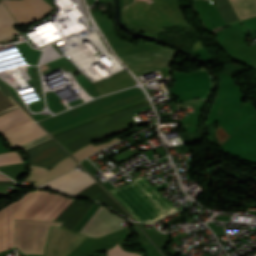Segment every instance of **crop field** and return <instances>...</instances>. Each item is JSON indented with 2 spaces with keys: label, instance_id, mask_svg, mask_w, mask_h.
<instances>
[{
  "label": "crop field",
  "instance_id": "28ad6ade",
  "mask_svg": "<svg viewBox=\"0 0 256 256\" xmlns=\"http://www.w3.org/2000/svg\"><path fill=\"white\" fill-rule=\"evenodd\" d=\"M29 120L19 108L0 116V133Z\"/></svg>",
  "mask_w": 256,
  "mask_h": 256
},
{
  "label": "crop field",
  "instance_id": "5142ce71",
  "mask_svg": "<svg viewBox=\"0 0 256 256\" xmlns=\"http://www.w3.org/2000/svg\"><path fill=\"white\" fill-rule=\"evenodd\" d=\"M17 108L14 102L0 89V115Z\"/></svg>",
  "mask_w": 256,
  "mask_h": 256
},
{
  "label": "crop field",
  "instance_id": "d1516ede",
  "mask_svg": "<svg viewBox=\"0 0 256 256\" xmlns=\"http://www.w3.org/2000/svg\"><path fill=\"white\" fill-rule=\"evenodd\" d=\"M240 20L256 16V0H231Z\"/></svg>",
  "mask_w": 256,
  "mask_h": 256
},
{
  "label": "crop field",
  "instance_id": "22f410ed",
  "mask_svg": "<svg viewBox=\"0 0 256 256\" xmlns=\"http://www.w3.org/2000/svg\"><path fill=\"white\" fill-rule=\"evenodd\" d=\"M48 139H50V136L47 134V135H45V136H43V137H41L39 139H36V140H34V141L30 142V143H27V144L21 146L20 148L22 149V151H24V150H26V149H28L30 147H33V146H35V145H37V144H39L41 142H44V141L48 140ZM53 144H55V142L52 139H50V140H48V141H46L44 143H41V144H39V145H37V146H35L33 148H30V149L24 151V153H26L28 156H30V155H32V154H34V153H36V152H38L40 150H43V149H45V148H47V147H49V146H51Z\"/></svg>",
  "mask_w": 256,
  "mask_h": 256
},
{
  "label": "crop field",
  "instance_id": "ac0d7876",
  "mask_svg": "<svg viewBox=\"0 0 256 256\" xmlns=\"http://www.w3.org/2000/svg\"><path fill=\"white\" fill-rule=\"evenodd\" d=\"M134 220L155 222L176 209L142 176L131 184L110 190Z\"/></svg>",
  "mask_w": 256,
  "mask_h": 256
},
{
  "label": "crop field",
  "instance_id": "5a996713",
  "mask_svg": "<svg viewBox=\"0 0 256 256\" xmlns=\"http://www.w3.org/2000/svg\"><path fill=\"white\" fill-rule=\"evenodd\" d=\"M67 156L68 155L57 144H55L29 157V160L31 164L49 169Z\"/></svg>",
  "mask_w": 256,
  "mask_h": 256
},
{
  "label": "crop field",
  "instance_id": "e52e79f7",
  "mask_svg": "<svg viewBox=\"0 0 256 256\" xmlns=\"http://www.w3.org/2000/svg\"><path fill=\"white\" fill-rule=\"evenodd\" d=\"M45 134L46 133L31 120L1 133L12 147L20 146Z\"/></svg>",
  "mask_w": 256,
  "mask_h": 256
},
{
  "label": "crop field",
  "instance_id": "bc2a9ffb",
  "mask_svg": "<svg viewBox=\"0 0 256 256\" xmlns=\"http://www.w3.org/2000/svg\"><path fill=\"white\" fill-rule=\"evenodd\" d=\"M10 193H3V192H0V196H6L8 197Z\"/></svg>",
  "mask_w": 256,
  "mask_h": 256
},
{
  "label": "crop field",
  "instance_id": "733c2abd",
  "mask_svg": "<svg viewBox=\"0 0 256 256\" xmlns=\"http://www.w3.org/2000/svg\"><path fill=\"white\" fill-rule=\"evenodd\" d=\"M202 71H206V70L203 69V68H201V69L196 70V71H194V72H202ZM194 72H192V73H194ZM173 74H174V75H178V74H186V73H180V72H176V71L173 70Z\"/></svg>",
  "mask_w": 256,
  "mask_h": 256
},
{
  "label": "crop field",
  "instance_id": "f4fd0767",
  "mask_svg": "<svg viewBox=\"0 0 256 256\" xmlns=\"http://www.w3.org/2000/svg\"><path fill=\"white\" fill-rule=\"evenodd\" d=\"M124 221V219L100 206L79 233L86 236L100 237L122 228L123 226L120 224Z\"/></svg>",
  "mask_w": 256,
  "mask_h": 256
},
{
  "label": "crop field",
  "instance_id": "34b2d1b8",
  "mask_svg": "<svg viewBox=\"0 0 256 256\" xmlns=\"http://www.w3.org/2000/svg\"><path fill=\"white\" fill-rule=\"evenodd\" d=\"M85 238L66 228L50 226L43 256H65Z\"/></svg>",
  "mask_w": 256,
  "mask_h": 256
},
{
  "label": "crop field",
  "instance_id": "d8731c3e",
  "mask_svg": "<svg viewBox=\"0 0 256 256\" xmlns=\"http://www.w3.org/2000/svg\"><path fill=\"white\" fill-rule=\"evenodd\" d=\"M76 165L77 163L70 157L59 162L50 170L30 165L31 173L25 178L24 181H37L33 183V185H40L67 171L72 170Z\"/></svg>",
  "mask_w": 256,
  "mask_h": 256
},
{
  "label": "crop field",
  "instance_id": "d9b57169",
  "mask_svg": "<svg viewBox=\"0 0 256 256\" xmlns=\"http://www.w3.org/2000/svg\"><path fill=\"white\" fill-rule=\"evenodd\" d=\"M20 162L19 156L14 152L0 154V165L12 164Z\"/></svg>",
  "mask_w": 256,
  "mask_h": 256
},
{
  "label": "crop field",
  "instance_id": "3316defc",
  "mask_svg": "<svg viewBox=\"0 0 256 256\" xmlns=\"http://www.w3.org/2000/svg\"><path fill=\"white\" fill-rule=\"evenodd\" d=\"M16 21L11 16L7 8L0 2V41L18 34L13 28L12 24Z\"/></svg>",
  "mask_w": 256,
  "mask_h": 256
},
{
  "label": "crop field",
  "instance_id": "8a807250",
  "mask_svg": "<svg viewBox=\"0 0 256 256\" xmlns=\"http://www.w3.org/2000/svg\"><path fill=\"white\" fill-rule=\"evenodd\" d=\"M72 199L30 191L0 211V251L13 247V218L53 221Z\"/></svg>",
  "mask_w": 256,
  "mask_h": 256
},
{
  "label": "crop field",
  "instance_id": "214f88e0",
  "mask_svg": "<svg viewBox=\"0 0 256 256\" xmlns=\"http://www.w3.org/2000/svg\"><path fill=\"white\" fill-rule=\"evenodd\" d=\"M135 256H139V254L135 255Z\"/></svg>",
  "mask_w": 256,
  "mask_h": 256
},
{
  "label": "crop field",
  "instance_id": "4a817a6b",
  "mask_svg": "<svg viewBox=\"0 0 256 256\" xmlns=\"http://www.w3.org/2000/svg\"><path fill=\"white\" fill-rule=\"evenodd\" d=\"M0 181H10V180L0 175Z\"/></svg>",
  "mask_w": 256,
  "mask_h": 256
},
{
  "label": "crop field",
  "instance_id": "cbeb9de0",
  "mask_svg": "<svg viewBox=\"0 0 256 256\" xmlns=\"http://www.w3.org/2000/svg\"><path fill=\"white\" fill-rule=\"evenodd\" d=\"M121 139H117V138H113L112 140L102 144V145H98V146H93V145H88L82 149H79L73 153H71V155L79 162L81 159L93 154L94 152L103 149L105 147H108L118 141H120Z\"/></svg>",
  "mask_w": 256,
  "mask_h": 256
},
{
  "label": "crop field",
  "instance_id": "dd49c442",
  "mask_svg": "<svg viewBox=\"0 0 256 256\" xmlns=\"http://www.w3.org/2000/svg\"><path fill=\"white\" fill-rule=\"evenodd\" d=\"M93 183H95V181L86 173L72 170L43 186L76 195L79 191Z\"/></svg>",
  "mask_w": 256,
  "mask_h": 256
},
{
  "label": "crop field",
  "instance_id": "412701ff",
  "mask_svg": "<svg viewBox=\"0 0 256 256\" xmlns=\"http://www.w3.org/2000/svg\"><path fill=\"white\" fill-rule=\"evenodd\" d=\"M18 24H26L53 9L44 0H2Z\"/></svg>",
  "mask_w": 256,
  "mask_h": 256
}]
</instances>
